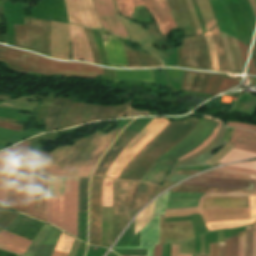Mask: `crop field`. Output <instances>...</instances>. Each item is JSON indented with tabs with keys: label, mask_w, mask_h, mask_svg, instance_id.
<instances>
[{
	"label": "crop field",
	"mask_w": 256,
	"mask_h": 256,
	"mask_svg": "<svg viewBox=\"0 0 256 256\" xmlns=\"http://www.w3.org/2000/svg\"><path fill=\"white\" fill-rule=\"evenodd\" d=\"M79 178L49 175L46 221L77 237Z\"/></svg>",
	"instance_id": "8a807250"
},
{
	"label": "crop field",
	"mask_w": 256,
	"mask_h": 256,
	"mask_svg": "<svg viewBox=\"0 0 256 256\" xmlns=\"http://www.w3.org/2000/svg\"><path fill=\"white\" fill-rule=\"evenodd\" d=\"M252 256H256V223L254 224L253 252H252Z\"/></svg>",
	"instance_id": "5866460e"
},
{
	"label": "crop field",
	"mask_w": 256,
	"mask_h": 256,
	"mask_svg": "<svg viewBox=\"0 0 256 256\" xmlns=\"http://www.w3.org/2000/svg\"><path fill=\"white\" fill-rule=\"evenodd\" d=\"M112 184H113V180L104 178L103 196H102L103 207L112 206Z\"/></svg>",
	"instance_id": "733c2abd"
},
{
	"label": "crop field",
	"mask_w": 256,
	"mask_h": 256,
	"mask_svg": "<svg viewBox=\"0 0 256 256\" xmlns=\"http://www.w3.org/2000/svg\"><path fill=\"white\" fill-rule=\"evenodd\" d=\"M128 34L130 40L138 43L140 46L148 49L153 54L158 56L161 60H163L164 55L161 54L154 46L151 41L161 38L159 32L153 26L139 25L136 24L123 16L119 15ZM143 26L147 27L148 30L141 29Z\"/></svg>",
	"instance_id": "f4fd0767"
},
{
	"label": "crop field",
	"mask_w": 256,
	"mask_h": 256,
	"mask_svg": "<svg viewBox=\"0 0 256 256\" xmlns=\"http://www.w3.org/2000/svg\"><path fill=\"white\" fill-rule=\"evenodd\" d=\"M11 167V150L0 153V202L6 204Z\"/></svg>",
	"instance_id": "3316defc"
},
{
	"label": "crop field",
	"mask_w": 256,
	"mask_h": 256,
	"mask_svg": "<svg viewBox=\"0 0 256 256\" xmlns=\"http://www.w3.org/2000/svg\"><path fill=\"white\" fill-rule=\"evenodd\" d=\"M256 181L193 177L180 185L203 186L217 189L255 190Z\"/></svg>",
	"instance_id": "e52e79f7"
},
{
	"label": "crop field",
	"mask_w": 256,
	"mask_h": 256,
	"mask_svg": "<svg viewBox=\"0 0 256 256\" xmlns=\"http://www.w3.org/2000/svg\"><path fill=\"white\" fill-rule=\"evenodd\" d=\"M179 256H191V255L179 254Z\"/></svg>",
	"instance_id": "c21b1889"
},
{
	"label": "crop field",
	"mask_w": 256,
	"mask_h": 256,
	"mask_svg": "<svg viewBox=\"0 0 256 256\" xmlns=\"http://www.w3.org/2000/svg\"><path fill=\"white\" fill-rule=\"evenodd\" d=\"M231 38H232L233 46H234V49H235L239 69H240V71H242L243 68H244V65H243L242 58H241V55H240V51H239V48H238L237 39H235L233 37H231Z\"/></svg>",
	"instance_id": "ae1a2a85"
},
{
	"label": "crop field",
	"mask_w": 256,
	"mask_h": 256,
	"mask_svg": "<svg viewBox=\"0 0 256 256\" xmlns=\"http://www.w3.org/2000/svg\"><path fill=\"white\" fill-rule=\"evenodd\" d=\"M249 198V197H248ZM221 207H249V199L247 197H212V208ZM202 208H211V196L201 197L199 208L191 209H179V210H166L170 211H181V210H194Z\"/></svg>",
	"instance_id": "d8731c3e"
},
{
	"label": "crop field",
	"mask_w": 256,
	"mask_h": 256,
	"mask_svg": "<svg viewBox=\"0 0 256 256\" xmlns=\"http://www.w3.org/2000/svg\"><path fill=\"white\" fill-rule=\"evenodd\" d=\"M93 2L98 11L104 30L116 36L128 38L117 14L113 0H93Z\"/></svg>",
	"instance_id": "dd49c442"
},
{
	"label": "crop field",
	"mask_w": 256,
	"mask_h": 256,
	"mask_svg": "<svg viewBox=\"0 0 256 256\" xmlns=\"http://www.w3.org/2000/svg\"><path fill=\"white\" fill-rule=\"evenodd\" d=\"M206 256H209V255H206Z\"/></svg>",
	"instance_id": "b54c1fbb"
},
{
	"label": "crop field",
	"mask_w": 256,
	"mask_h": 256,
	"mask_svg": "<svg viewBox=\"0 0 256 256\" xmlns=\"http://www.w3.org/2000/svg\"><path fill=\"white\" fill-rule=\"evenodd\" d=\"M238 235H243V231L239 232ZM238 256H245V231L244 236L239 237V253Z\"/></svg>",
	"instance_id": "d3111659"
},
{
	"label": "crop field",
	"mask_w": 256,
	"mask_h": 256,
	"mask_svg": "<svg viewBox=\"0 0 256 256\" xmlns=\"http://www.w3.org/2000/svg\"><path fill=\"white\" fill-rule=\"evenodd\" d=\"M219 246V256H224V243H218Z\"/></svg>",
	"instance_id": "e1f06a70"
},
{
	"label": "crop field",
	"mask_w": 256,
	"mask_h": 256,
	"mask_svg": "<svg viewBox=\"0 0 256 256\" xmlns=\"http://www.w3.org/2000/svg\"><path fill=\"white\" fill-rule=\"evenodd\" d=\"M153 201L149 206H147L135 219V227H134V236L136 233L143 228L147 222L151 219L154 207Z\"/></svg>",
	"instance_id": "5142ce71"
},
{
	"label": "crop field",
	"mask_w": 256,
	"mask_h": 256,
	"mask_svg": "<svg viewBox=\"0 0 256 256\" xmlns=\"http://www.w3.org/2000/svg\"><path fill=\"white\" fill-rule=\"evenodd\" d=\"M161 249H162V245H155L153 256H161Z\"/></svg>",
	"instance_id": "028f5c9d"
},
{
	"label": "crop field",
	"mask_w": 256,
	"mask_h": 256,
	"mask_svg": "<svg viewBox=\"0 0 256 256\" xmlns=\"http://www.w3.org/2000/svg\"><path fill=\"white\" fill-rule=\"evenodd\" d=\"M205 194L208 195H255V193L249 192H217V191H207Z\"/></svg>",
	"instance_id": "eef30255"
},
{
	"label": "crop field",
	"mask_w": 256,
	"mask_h": 256,
	"mask_svg": "<svg viewBox=\"0 0 256 256\" xmlns=\"http://www.w3.org/2000/svg\"><path fill=\"white\" fill-rule=\"evenodd\" d=\"M210 256H218L217 244H210Z\"/></svg>",
	"instance_id": "d32e631a"
},
{
	"label": "crop field",
	"mask_w": 256,
	"mask_h": 256,
	"mask_svg": "<svg viewBox=\"0 0 256 256\" xmlns=\"http://www.w3.org/2000/svg\"><path fill=\"white\" fill-rule=\"evenodd\" d=\"M110 42L103 43L110 66H128L124 46L119 40L109 36Z\"/></svg>",
	"instance_id": "28ad6ade"
},
{
	"label": "crop field",
	"mask_w": 256,
	"mask_h": 256,
	"mask_svg": "<svg viewBox=\"0 0 256 256\" xmlns=\"http://www.w3.org/2000/svg\"><path fill=\"white\" fill-rule=\"evenodd\" d=\"M246 256H251L253 225L246 227Z\"/></svg>",
	"instance_id": "a9b5d70f"
},
{
	"label": "crop field",
	"mask_w": 256,
	"mask_h": 256,
	"mask_svg": "<svg viewBox=\"0 0 256 256\" xmlns=\"http://www.w3.org/2000/svg\"><path fill=\"white\" fill-rule=\"evenodd\" d=\"M222 38H223V43H224V47H225V51L228 57V61H229V65H230V71L236 72L235 70V66L233 63V59H232V55L228 46V42H227V36L226 34L220 33Z\"/></svg>",
	"instance_id": "730fd06b"
},
{
	"label": "crop field",
	"mask_w": 256,
	"mask_h": 256,
	"mask_svg": "<svg viewBox=\"0 0 256 256\" xmlns=\"http://www.w3.org/2000/svg\"><path fill=\"white\" fill-rule=\"evenodd\" d=\"M31 241L14 235L5 230L0 232V249L12 252L18 255H24Z\"/></svg>",
	"instance_id": "5a996713"
},
{
	"label": "crop field",
	"mask_w": 256,
	"mask_h": 256,
	"mask_svg": "<svg viewBox=\"0 0 256 256\" xmlns=\"http://www.w3.org/2000/svg\"><path fill=\"white\" fill-rule=\"evenodd\" d=\"M253 156H256V154L233 149L219 162L224 164V163H228V162H232V161H236V160H240L248 157H253Z\"/></svg>",
	"instance_id": "4a817a6b"
},
{
	"label": "crop field",
	"mask_w": 256,
	"mask_h": 256,
	"mask_svg": "<svg viewBox=\"0 0 256 256\" xmlns=\"http://www.w3.org/2000/svg\"><path fill=\"white\" fill-rule=\"evenodd\" d=\"M238 252V241L237 237L232 238V256H237Z\"/></svg>",
	"instance_id": "1d83c4d3"
},
{
	"label": "crop field",
	"mask_w": 256,
	"mask_h": 256,
	"mask_svg": "<svg viewBox=\"0 0 256 256\" xmlns=\"http://www.w3.org/2000/svg\"><path fill=\"white\" fill-rule=\"evenodd\" d=\"M171 256H174V244H172V255Z\"/></svg>",
	"instance_id": "c035e120"
},
{
	"label": "crop field",
	"mask_w": 256,
	"mask_h": 256,
	"mask_svg": "<svg viewBox=\"0 0 256 256\" xmlns=\"http://www.w3.org/2000/svg\"><path fill=\"white\" fill-rule=\"evenodd\" d=\"M187 207H198V201H177L168 202L166 209H179Z\"/></svg>",
	"instance_id": "dafd665d"
},
{
	"label": "crop field",
	"mask_w": 256,
	"mask_h": 256,
	"mask_svg": "<svg viewBox=\"0 0 256 256\" xmlns=\"http://www.w3.org/2000/svg\"><path fill=\"white\" fill-rule=\"evenodd\" d=\"M175 256H178V244H176V247H175Z\"/></svg>",
	"instance_id": "b80d0937"
},
{
	"label": "crop field",
	"mask_w": 256,
	"mask_h": 256,
	"mask_svg": "<svg viewBox=\"0 0 256 256\" xmlns=\"http://www.w3.org/2000/svg\"><path fill=\"white\" fill-rule=\"evenodd\" d=\"M73 238L62 233L55 249L69 251ZM55 250L52 256H67L68 252Z\"/></svg>",
	"instance_id": "d9b57169"
},
{
	"label": "crop field",
	"mask_w": 256,
	"mask_h": 256,
	"mask_svg": "<svg viewBox=\"0 0 256 256\" xmlns=\"http://www.w3.org/2000/svg\"><path fill=\"white\" fill-rule=\"evenodd\" d=\"M70 24L103 30L92 0H64Z\"/></svg>",
	"instance_id": "412701ff"
},
{
	"label": "crop field",
	"mask_w": 256,
	"mask_h": 256,
	"mask_svg": "<svg viewBox=\"0 0 256 256\" xmlns=\"http://www.w3.org/2000/svg\"><path fill=\"white\" fill-rule=\"evenodd\" d=\"M119 12L126 16L133 15L134 7L144 4L154 15L159 25L160 31L167 34L172 28H177L172 18L166 0H115Z\"/></svg>",
	"instance_id": "34b2d1b8"
},
{
	"label": "crop field",
	"mask_w": 256,
	"mask_h": 256,
	"mask_svg": "<svg viewBox=\"0 0 256 256\" xmlns=\"http://www.w3.org/2000/svg\"><path fill=\"white\" fill-rule=\"evenodd\" d=\"M202 194L170 193L168 200H199Z\"/></svg>",
	"instance_id": "92a150f3"
},
{
	"label": "crop field",
	"mask_w": 256,
	"mask_h": 256,
	"mask_svg": "<svg viewBox=\"0 0 256 256\" xmlns=\"http://www.w3.org/2000/svg\"><path fill=\"white\" fill-rule=\"evenodd\" d=\"M250 216L249 220H235L225 222H211L205 223L209 231L220 230L226 228L240 227L252 224L256 221V197H250Z\"/></svg>",
	"instance_id": "22f410ed"
},
{
	"label": "crop field",
	"mask_w": 256,
	"mask_h": 256,
	"mask_svg": "<svg viewBox=\"0 0 256 256\" xmlns=\"http://www.w3.org/2000/svg\"><path fill=\"white\" fill-rule=\"evenodd\" d=\"M204 35L206 37L208 48H209V53H210L211 62H212V70H218V58H217L216 51L214 49L212 36H211L210 32H208Z\"/></svg>",
	"instance_id": "bc2a9ffb"
},
{
	"label": "crop field",
	"mask_w": 256,
	"mask_h": 256,
	"mask_svg": "<svg viewBox=\"0 0 256 256\" xmlns=\"http://www.w3.org/2000/svg\"><path fill=\"white\" fill-rule=\"evenodd\" d=\"M115 82H119L121 80H141L150 83H154V77L152 70L146 71H114Z\"/></svg>",
	"instance_id": "cbeb9de0"
},
{
	"label": "crop field",
	"mask_w": 256,
	"mask_h": 256,
	"mask_svg": "<svg viewBox=\"0 0 256 256\" xmlns=\"http://www.w3.org/2000/svg\"><path fill=\"white\" fill-rule=\"evenodd\" d=\"M249 1H250V4H251L253 13H254V15L256 17V2H255V0H249Z\"/></svg>",
	"instance_id": "0bd39190"
},
{
	"label": "crop field",
	"mask_w": 256,
	"mask_h": 256,
	"mask_svg": "<svg viewBox=\"0 0 256 256\" xmlns=\"http://www.w3.org/2000/svg\"><path fill=\"white\" fill-rule=\"evenodd\" d=\"M203 176L256 180L255 176L229 174V173L215 172V171H210L206 174H203Z\"/></svg>",
	"instance_id": "214f88e0"
},
{
	"label": "crop field",
	"mask_w": 256,
	"mask_h": 256,
	"mask_svg": "<svg viewBox=\"0 0 256 256\" xmlns=\"http://www.w3.org/2000/svg\"><path fill=\"white\" fill-rule=\"evenodd\" d=\"M216 171H227V172H235V173L248 174V175H256L255 170L233 168V167H229V166H224V167L218 168V169H216Z\"/></svg>",
	"instance_id": "00972430"
},
{
	"label": "crop field",
	"mask_w": 256,
	"mask_h": 256,
	"mask_svg": "<svg viewBox=\"0 0 256 256\" xmlns=\"http://www.w3.org/2000/svg\"><path fill=\"white\" fill-rule=\"evenodd\" d=\"M229 166H235V167H243V168H249V169H256V161L253 162H246V163H239Z\"/></svg>",
	"instance_id": "bd1437ed"
},
{
	"label": "crop field",
	"mask_w": 256,
	"mask_h": 256,
	"mask_svg": "<svg viewBox=\"0 0 256 256\" xmlns=\"http://www.w3.org/2000/svg\"><path fill=\"white\" fill-rule=\"evenodd\" d=\"M226 251L225 256H231V238L225 239Z\"/></svg>",
	"instance_id": "120bbe31"
},
{
	"label": "crop field",
	"mask_w": 256,
	"mask_h": 256,
	"mask_svg": "<svg viewBox=\"0 0 256 256\" xmlns=\"http://www.w3.org/2000/svg\"><path fill=\"white\" fill-rule=\"evenodd\" d=\"M168 123L165 118H153V120L126 146L111 165L106 176L117 178L133 156L146 146Z\"/></svg>",
	"instance_id": "ac0d7876"
},
{
	"label": "crop field",
	"mask_w": 256,
	"mask_h": 256,
	"mask_svg": "<svg viewBox=\"0 0 256 256\" xmlns=\"http://www.w3.org/2000/svg\"><path fill=\"white\" fill-rule=\"evenodd\" d=\"M227 126H236V127H241L244 129H247L249 131H256V126L253 125H246V124H241V123H234V122H227Z\"/></svg>",
	"instance_id": "750c4746"
},
{
	"label": "crop field",
	"mask_w": 256,
	"mask_h": 256,
	"mask_svg": "<svg viewBox=\"0 0 256 256\" xmlns=\"http://www.w3.org/2000/svg\"><path fill=\"white\" fill-rule=\"evenodd\" d=\"M196 256H200V255H196Z\"/></svg>",
	"instance_id": "03da06ac"
},
{
	"label": "crop field",
	"mask_w": 256,
	"mask_h": 256,
	"mask_svg": "<svg viewBox=\"0 0 256 256\" xmlns=\"http://www.w3.org/2000/svg\"><path fill=\"white\" fill-rule=\"evenodd\" d=\"M231 143H235L234 148L236 149L256 153V133L235 128Z\"/></svg>",
	"instance_id": "d1516ede"
},
{
	"label": "crop field",
	"mask_w": 256,
	"mask_h": 256,
	"mask_svg": "<svg viewBox=\"0 0 256 256\" xmlns=\"http://www.w3.org/2000/svg\"><path fill=\"white\" fill-rule=\"evenodd\" d=\"M220 125H221V123H220ZM220 125L216 128V130L212 133V135L208 139H206L201 145H199L196 149H194L192 152H190L189 154L185 155L184 157H182L179 160H182V159H184V158H186V157L196 153L197 151H199L202 148H204L207 144H209L215 138V136H216V134H217V132L219 130Z\"/></svg>",
	"instance_id": "4177f3b9"
}]
</instances>
